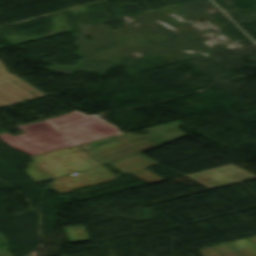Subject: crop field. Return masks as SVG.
<instances>
[{"label": "crop field", "instance_id": "8a807250", "mask_svg": "<svg viewBox=\"0 0 256 256\" xmlns=\"http://www.w3.org/2000/svg\"><path fill=\"white\" fill-rule=\"evenodd\" d=\"M17 127L25 133L12 137L5 132L0 135V140L29 155L74 145V143L45 121L19 125Z\"/></svg>", "mask_w": 256, "mask_h": 256}, {"label": "crop field", "instance_id": "ac0d7876", "mask_svg": "<svg viewBox=\"0 0 256 256\" xmlns=\"http://www.w3.org/2000/svg\"><path fill=\"white\" fill-rule=\"evenodd\" d=\"M47 121L61 130L76 144L119 133L114 127L104 123L94 115L86 118L74 111Z\"/></svg>", "mask_w": 256, "mask_h": 256}, {"label": "crop field", "instance_id": "34b2d1b8", "mask_svg": "<svg viewBox=\"0 0 256 256\" xmlns=\"http://www.w3.org/2000/svg\"><path fill=\"white\" fill-rule=\"evenodd\" d=\"M40 95L44 94L17 76L0 80V105Z\"/></svg>", "mask_w": 256, "mask_h": 256}, {"label": "crop field", "instance_id": "412701ff", "mask_svg": "<svg viewBox=\"0 0 256 256\" xmlns=\"http://www.w3.org/2000/svg\"><path fill=\"white\" fill-rule=\"evenodd\" d=\"M11 76H15V75L6 72L5 67L0 62V79L11 77Z\"/></svg>", "mask_w": 256, "mask_h": 256}]
</instances>
